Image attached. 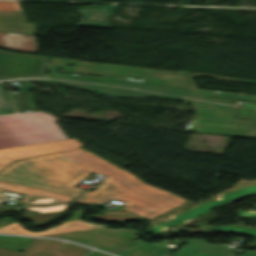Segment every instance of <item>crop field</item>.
<instances>
[{"label":"crop field","mask_w":256,"mask_h":256,"mask_svg":"<svg viewBox=\"0 0 256 256\" xmlns=\"http://www.w3.org/2000/svg\"><path fill=\"white\" fill-rule=\"evenodd\" d=\"M92 172L108 178L75 202L106 203L111 199L125 202L122 210L107 211L93 218L125 221L141 216L149 220L186 201L144 183L83 148L16 161L0 171V179L75 197L83 189L73 186Z\"/></svg>","instance_id":"8a807250"},{"label":"crop field","mask_w":256,"mask_h":256,"mask_svg":"<svg viewBox=\"0 0 256 256\" xmlns=\"http://www.w3.org/2000/svg\"><path fill=\"white\" fill-rule=\"evenodd\" d=\"M45 80L57 81L60 84L91 86L87 91L111 96L116 91L144 96L158 94L185 100L192 96L189 90L176 88V82L146 78L142 81L121 78L95 77L59 72H50Z\"/></svg>","instance_id":"ac0d7876"},{"label":"crop field","mask_w":256,"mask_h":256,"mask_svg":"<svg viewBox=\"0 0 256 256\" xmlns=\"http://www.w3.org/2000/svg\"><path fill=\"white\" fill-rule=\"evenodd\" d=\"M54 121L45 112L0 116V148L67 138Z\"/></svg>","instance_id":"34b2d1b8"},{"label":"crop field","mask_w":256,"mask_h":256,"mask_svg":"<svg viewBox=\"0 0 256 256\" xmlns=\"http://www.w3.org/2000/svg\"><path fill=\"white\" fill-rule=\"evenodd\" d=\"M67 64L76 65L75 67H69ZM57 68H63L58 70ZM49 71H61L97 76H109V77H121V78H132L142 80L146 77L170 80L179 82V88L187 89L184 74L181 71H168V70H157L139 68L127 65L118 64H97L83 62L79 60H70L63 58L51 57L48 65Z\"/></svg>","instance_id":"412701ff"},{"label":"crop field","mask_w":256,"mask_h":256,"mask_svg":"<svg viewBox=\"0 0 256 256\" xmlns=\"http://www.w3.org/2000/svg\"><path fill=\"white\" fill-rule=\"evenodd\" d=\"M47 61L45 56L9 52L7 78H0V114L14 113L4 82L24 81V86H30V82L44 80Z\"/></svg>","instance_id":"f4fd0767"},{"label":"crop field","mask_w":256,"mask_h":256,"mask_svg":"<svg viewBox=\"0 0 256 256\" xmlns=\"http://www.w3.org/2000/svg\"><path fill=\"white\" fill-rule=\"evenodd\" d=\"M81 145L79 140L75 138L1 149L0 170L19 159L80 148Z\"/></svg>","instance_id":"dd49c442"},{"label":"crop field","mask_w":256,"mask_h":256,"mask_svg":"<svg viewBox=\"0 0 256 256\" xmlns=\"http://www.w3.org/2000/svg\"><path fill=\"white\" fill-rule=\"evenodd\" d=\"M87 211L78 210L72 214V217L69 221L64 222L63 224L44 230L42 232H30L23 227L21 223L14 221L10 217H4L0 219V232L1 233H11V234H22V235H32V236H41L49 235L56 233L72 232L79 230L95 229L106 227L104 225H94L83 221Z\"/></svg>","instance_id":"e52e79f7"},{"label":"crop field","mask_w":256,"mask_h":256,"mask_svg":"<svg viewBox=\"0 0 256 256\" xmlns=\"http://www.w3.org/2000/svg\"><path fill=\"white\" fill-rule=\"evenodd\" d=\"M192 104L197 114L235 118L240 101L193 95L185 100Z\"/></svg>","instance_id":"d8731c3e"},{"label":"crop field","mask_w":256,"mask_h":256,"mask_svg":"<svg viewBox=\"0 0 256 256\" xmlns=\"http://www.w3.org/2000/svg\"><path fill=\"white\" fill-rule=\"evenodd\" d=\"M191 122L206 124V127L196 126L194 131L197 132L243 136V134L248 130L239 128L242 122L240 119L195 114Z\"/></svg>","instance_id":"5a996713"},{"label":"crop field","mask_w":256,"mask_h":256,"mask_svg":"<svg viewBox=\"0 0 256 256\" xmlns=\"http://www.w3.org/2000/svg\"><path fill=\"white\" fill-rule=\"evenodd\" d=\"M4 189L26 194L23 200L21 201L22 203H24L22 206L60 203L67 202L73 199L72 197L58 195L34 188L24 187L0 180V193H2ZM5 197L7 196L0 194V201L3 200Z\"/></svg>","instance_id":"3316defc"},{"label":"crop field","mask_w":256,"mask_h":256,"mask_svg":"<svg viewBox=\"0 0 256 256\" xmlns=\"http://www.w3.org/2000/svg\"><path fill=\"white\" fill-rule=\"evenodd\" d=\"M227 245L209 244L202 239H190L185 246L179 248L172 256H227L234 248L227 247Z\"/></svg>","instance_id":"28ad6ade"},{"label":"crop field","mask_w":256,"mask_h":256,"mask_svg":"<svg viewBox=\"0 0 256 256\" xmlns=\"http://www.w3.org/2000/svg\"><path fill=\"white\" fill-rule=\"evenodd\" d=\"M117 5H92L79 8L82 14L77 26H93L100 28H110L109 19Z\"/></svg>","instance_id":"d1516ede"},{"label":"crop field","mask_w":256,"mask_h":256,"mask_svg":"<svg viewBox=\"0 0 256 256\" xmlns=\"http://www.w3.org/2000/svg\"><path fill=\"white\" fill-rule=\"evenodd\" d=\"M68 205L69 204H59L53 206L21 208L14 210H25L26 212L21 217L31 220L32 226H38L68 213V211H64Z\"/></svg>","instance_id":"22f410ed"},{"label":"crop field","mask_w":256,"mask_h":256,"mask_svg":"<svg viewBox=\"0 0 256 256\" xmlns=\"http://www.w3.org/2000/svg\"><path fill=\"white\" fill-rule=\"evenodd\" d=\"M36 26L27 23L23 12H0V31L33 35Z\"/></svg>","instance_id":"cbeb9de0"},{"label":"crop field","mask_w":256,"mask_h":256,"mask_svg":"<svg viewBox=\"0 0 256 256\" xmlns=\"http://www.w3.org/2000/svg\"><path fill=\"white\" fill-rule=\"evenodd\" d=\"M0 47L35 53L38 49L34 36L0 32Z\"/></svg>","instance_id":"5142ce71"},{"label":"crop field","mask_w":256,"mask_h":256,"mask_svg":"<svg viewBox=\"0 0 256 256\" xmlns=\"http://www.w3.org/2000/svg\"><path fill=\"white\" fill-rule=\"evenodd\" d=\"M169 250L138 239L115 254L122 256H162Z\"/></svg>","instance_id":"d9b57169"},{"label":"crop field","mask_w":256,"mask_h":256,"mask_svg":"<svg viewBox=\"0 0 256 256\" xmlns=\"http://www.w3.org/2000/svg\"><path fill=\"white\" fill-rule=\"evenodd\" d=\"M31 88L33 87H24V91L10 92L17 112L36 110L28 92Z\"/></svg>","instance_id":"733c2abd"},{"label":"crop field","mask_w":256,"mask_h":256,"mask_svg":"<svg viewBox=\"0 0 256 256\" xmlns=\"http://www.w3.org/2000/svg\"><path fill=\"white\" fill-rule=\"evenodd\" d=\"M189 90L193 94H197V95H206V96H214V97H222V98H228V99H237V100H245L249 102H256L255 95H246V94H237V93H228V92L192 89V88H189Z\"/></svg>","instance_id":"4a817a6b"},{"label":"crop field","mask_w":256,"mask_h":256,"mask_svg":"<svg viewBox=\"0 0 256 256\" xmlns=\"http://www.w3.org/2000/svg\"><path fill=\"white\" fill-rule=\"evenodd\" d=\"M0 11H22L17 1H0Z\"/></svg>","instance_id":"bc2a9ffb"},{"label":"crop field","mask_w":256,"mask_h":256,"mask_svg":"<svg viewBox=\"0 0 256 256\" xmlns=\"http://www.w3.org/2000/svg\"><path fill=\"white\" fill-rule=\"evenodd\" d=\"M241 127L250 128L244 136L256 138V121L244 120Z\"/></svg>","instance_id":"214f88e0"},{"label":"crop field","mask_w":256,"mask_h":256,"mask_svg":"<svg viewBox=\"0 0 256 256\" xmlns=\"http://www.w3.org/2000/svg\"><path fill=\"white\" fill-rule=\"evenodd\" d=\"M196 76H210L215 79H222V80H234V81H243V82H251V83H256V81H248V80H241V79H235V78H228V77H221V76H215V75H209V74H200V73H195Z\"/></svg>","instance_id":"92a150f3"},{"label":"crop field","mask_w":256,"mask_h":256,"mask_svg":"<svg viewBox=\"0 0 256 256\" xmlns=\"http://www.w3.org/2000/svg\"><path fill=\"white\" fill-rule=\"evenodd\" d=\"M238 256H256V250L255 251H246L245 253L238 255Z\"/></svg>","instance_id":"dafd665d"},{"label":"crop field","mask_w":256,"mask_h":256,"mask_svg":"<svg viewBox=\"0 0 256 256\" xmlns=\"http://www.w3.org/2000/svg\"><path fill=\"white\" fill-rule=\"evenodd\" d=\"M88 256H109V255L95 251V252L89 254Z\"/></svg>","instance_id":"00972430"},{"label":"crop field","mask_w":256,"mask_h":256,"mask_svg":"<svg viewBox=\"0 0 256 256\" xmlns=\"http://www.w3.org/2000/svg\"><path fill=\"white\" fill-rule=\"evenodd\" d=\"M195 125L205 126V124L190 123V125H189L188 128H187V130L192 131Z\"/></svg>","instance_id":"a9b5d70f"},{"label":"crop field","mask_w":256,"mask_h":256,"mask_svg":"<svg viewBox=\"0 0 256 256\" xmlns=\"http://www.w3.org/2000/svg\"><path fill=\"white\" fill-rule=\"evenodd\" d=\"M40 82H45V83H55L57 84L56 82H50V81H39V82H36V83H31V86H35L36 84L40 83Z\"/></svg>","instance_id":"4177f3b9"},{"label":"crop field","mask_w":256,"mask_h":256,"mask_svg":"<svg viewBox=\"0 0 256 256\" xmlns=\"http://www.w3.org/2000/svg\"><path fill=\"white\" fill-rule=\"evenodd\" d=\"M67 86H70V85H67ZM72 87L83 89V90H87L89 88V87H82V86H72Z\"/></svg>","instance_id":"730fd06b"},{"label":"crop field","mask_w":256,"mask_h":256,"mask_svg":"<svg viewBox=\"0 0 256 256\" xmlns=\"http://www.w3.org/2000/svg\"><path fill=\"white\" fill-rule=\"evenodd\" d=\"M190 75H191V77H194V76H195L194 73H190Z\"/></svg>","instance_id":"eef30255"}]
</instances>
